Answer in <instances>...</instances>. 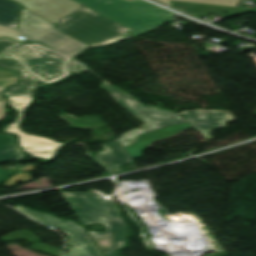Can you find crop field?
Instances as JSON below:
<instances>
[{
	"instance_id": "19",
	"label": "crop field",
	"mask_w": 256,
	"mask_h": 256,
	"mask_svg": "<svg viewBox=\"0 0 256 256\" xmlns=\"http://www.w3.org/2000/svg\"><path fill=\"white\" fill-rule=\"evenodd\" d=\"M159 1L170 6L169 0H159ZM176 1H185V2H195V3L237 7L240 0H176Z\"/></svg>"
},
{
	"instance_id": "20",
	"label": "crop field",
	"mask_w": 256,
	"mask_h": 256,
	"mask_svg": "<svg viewBox=\"0 0 256 256\" xmlns=\"http://www.w3.org/2000/svg\"><path fill=\"white\" fill-rule=\"evenodd\" d=\"M9 106L13 107L16 112H21L27 104L30 97L8 96Z\"/></svg>"
},
{
	"instance_id": "13",
	"label": "crop field",
	"mask_w": 256,
	"mask_h": 256,
	"mask_svg": "<svg viewBox=\"0 0 256 256\" xmlns=\"http://www.w3.org/2000/svg\"><path fill=\"white\" fill-rule=\"evenodd\" d=\"M171 6L175 7L177 9L183 10L189 14H192L196 17L200 15H206V13H215V14H221L224 16H232L237 15L242 12L246 11H255L256 7L253 9H247V8H232V7H223V6H213V5H204V4H195V3H185V2H176V1H170ZM229 12V14H224L223 10Z\"/></svg>"
},
{
	"instance_id": "9",
	"label": "crop field",
	"mask_w": 256,
	"mask_h": 256,
	"mask_svg": "<svg viewBox=\"0 0 256 256\" xmlns=\"http://www.w3.org/2000/svg\"><path fill=\"white\" fill-rule=\"evenodd\" d=\"M24 8L34 12L35 14L53 22L57 23L64 16L70 14L80 6L71 0H16Z\"/></svg>"
},
{
	"instance_id": "17",
	"label": "crop field",
	"mask_w": 256,
	"mask_h": 256,
	"mask_svg": "<svg viewBox=\"0 0 256 256\" xmlns=\"http://www.w3.org/2000/svg\"><path fill=\"white\" fill-rule=\"evenodd\" d=\"M19 10V5L13 1L0 4V24L16 27Z\"/></svg>"
},
{
	"instance_id": "10",
	"label": "crop field",
	"mask_w": 256,
	"mask_h": 256,
	"mask_svg": "<svg viewBox=\"0 0 256 256\" xmlns=\"http://www.w3.org/2000/svg\"><path fill=\"white\" fill-rule=\"evenodd\" d=\"M20 115L21 113H17L15 121L10 126L4 127L3 131L17 134L20 147L31 156H38L44 159L52 157L55 150L60 148L62 144L43 137L27 135L21 132L17 128Z\"/></svg>"
},
{
	"instance_id": "12",
	"label": "crop field",
	"mask_w": 256,
	"mask_h": 256,
	"mask_svg": "<svg viewBox=\"0 0 256 256\" xmlns=\"http://www.w3.org/2000/svg\"><path fill=\"white\" fill-rule=\"evenodd\" d=\"M103 146L105 151L95 154L96 159L113 172L120 171V164H125L132 160L118 140L107 142Z\"/></svg>"
},
{
	"instance_id": "21",
	"label": "crop field",
	"mask_w": 256,
	"mask_h": 256,
	"mask_svg": "<svg viewBox=\"0 0 256 256\" xmlns=\"http://www.w3.org/2000/svg\"><path fill=\"white\" fill-rule=\"evenodd\" d=\"M33 179L30 173H22V174H17L13 177H11L5 184L2 186H11L15 184L16 181H27Z\"/></svg>"
},
{
	"instance_id": "2",
	"label": "crop field",
	"mask_w": 256,
	"mask_h": 256,
	"mask_svg": "<svg viewBox=\"0 0 256 256\" xmlns=\"http://www.w3.org/2000/svg\"><path fill=\"white\" fill-rule=\"evenodd\" d=\"M134 29L130 36L148 32L164 21H172V13L143 0H74Z\"/></svg>"
},
{
	"instance_id": "16",
	"label": "crop field",
	"mask_w": 256,
	"mask_h": 256,
	"mask_svg": "<svg viewBox=\"0 0 256 256\" xmlns=\"http://www.w3.org/2000/svg\"><path fill=\"white\" fill-rule=\"evenodd\" d=\"M19 238H26L30 242H35L32 245V248H35V249H38V250H41L44 252H48V253H51V254H54L57 256H62L61 250L51 247L49 245L43 244V243H37V241H39L40 239L26 230L11 233L9 235L4 236L1 239L2 240H11V239H19Z\"/></svg>"
},
{
	"instance_id": "11",
	"label": "crop field",
	"mask_w": 256,
	"mask_h": 256,
	"mask_svg": "<svg viewBox=\"0 0 256 256\" xmlns=\"http://www.w3.org/2000/svg\"><path fill=\"white\" fill-rule=\"evenodd\" d=\"M181 113L190 127L198 129L205 140L211 139L210 130L216 127L224 128V123L234 120L229 112L224 111L197 110L181 111Z\"/></svg>"
},
{
	"instance_id": "25",
	"label": "crop field",
	"mask_w": 256,
	"mask_h": 256,
	"mask_svg": "<svg viewBox=\"0 0 256 256\" xmlns=\"http://www.w3.org/2000/svg\"><path fill=\"white\" fill-rule=\"evenodd\" d=\"M14 171L3 170L0 168V183L4 181L10 174H14Z\"/></svg>"
},
{
	"instance_id": "5",
	"label": "crop field",
	"mask_w": 256,
	"mask_h": 256,
	"mask_svg": "<svg viewBox=\"0 0 256 256\" xmlns=\"http://www.w3.org/2000/svg\"><path fill=\"white\" fill-rule=\"evenodd\" d=\"M101 88L106 90L115 102L143 123L141 128L127 132L118 139L122 146L135 142L136 136L141 133L149 132L167 125L186 122L184 118L179 117V113L142 105L134 98L116 90L106 83L103 84ZM172 116H174V118H172Z\"/></svg>"
},
{
	"instance_id": "14",
	"label": "crop field",
	"mask_w": 256,
	"mask_h": 256,
	"mask_svg": "<svg viewBox=\"0 0 256 256\" xmlns=\"http://www.w3.org/2000/svg\"><path fill=\"white\" fill-rule=\"evenodd\" d=\"M189 127L187 123L174 125L169 128L158 130L152 134L143 135L138 138L137 143L131 144L129 146L124 147L126 151L130 154L132 158L141 157V153L143 149L153 140L160 139L164 136H168L179 132L185 128Z\"/></svg>"
},
{
	"instance_id": "4",
	"label": "crop field",
	"mask_w": 256,
	"mask_h": 256,
	"mask_svg": "<svg viewBox=\"0 0 256 256\" xmlns=\"http://www.w3.org/2000/svg\"><path fill=\"white\" fill-rule=\"evenodd\" d=\"M1 56L16 59L28 73L43 83L69 74L66 64L70 59L38 43H20Z\"/></svg>"
},
{
	"instance_id": "24",
	"label": "crop field",
	"mask_w": 256,
	"mask_h": 256,
	"mask_svg": "<svg viewBox=\"0 0 256 256\" xmlns=\"http://www.w3.org/2000/svg\"><path fill=\"white\" fill-rule=\"evenodd\" d=\"M14 82H16L15 77L0 79V88H4L5 85H8Z\"/></svg>"
},
{
	"instance_id": "1",
	"label": "crop field",
	"mask_w": 256,
	"mask_h": 256,
	"mask_svg": "<svg viewBox=\"0 0 256 256\" xmlns=\"http://www.w3.org/2000/svg\"><path fill=\"white\" fill-rule=\"evenodd\" d=\"M82 224L106 225V234L88 231L104 256H114V249L123 247L126 226L113 203L93 193L61 192Z\"/></svg>"
},
{
	"instance_id": "23",
	"label": "crop field",
	"mask_w": 256,
	"mask_h": 256,
	"mask_svg": "<svg viewBox=\"0 0 256 256\" xmlns=\"http://www.w3.org/2000/svg\"><path fill=\"white\" fill-rule=\"evenodd\" d=\"M67 69H68V71L74 72V73H79L82 70H85V69H83L81 66H79L77 63H75L72 60H70V62L68 63Z\"/></svg>"
},
{
	"instance_id": "3",
	"label": "crop field",
	"mask_w": 256,
	"mask_h": 256,
	"mask_svg": "<svg viewBox=\"0 0 256 256\" xmlns=\"http://www.w3.org/2000/svg\"><path fill=\"white\" fill-rule=\"evenodd\" d=\"M54 28L90 46L129 36L133 31L84 6L63 18Z\"/></svg>"
},
{
	"instance_id": "26",
	"label": "crop field",
	"mask_w": 256,
	"mask_h": 256,
	"mask_svg": "<svg viewBox=\"0 0 256 256\" xmlns=\"http://www.w3.org/2000/svg\"><path fill=\"white\" fill-rule=\"evenodd\" d=\"M7 1H11V0H0V3H4V2H7Z\"/></svg>"
},
{
	"instance_id": "18",
	"label": "crop field",
	"mask_w": 256,
	"mask_h": 256,
	"mask_svg": "<svg viewBox=\"0 0 256 256\" xmlns=\"http://www.w3.org/2000/svg\"><path fill=\"white\" fill-rule=\"evenodd\" d=\"M60 117L65 119L67 122L72 124L73 126L77 128H92L97 126L105 125L102 121L97 119L94 116H86L82 117L80 119L73 118L65 113L60 114Z\"/></svg>"
},
{
	"instance_id": "22",
	"label": "crop field",
	"mask_w": 256,
	"mask_h": 256,
	"mask_svg": "<svg viewBox=\"0 0 256 256\" xmlns=\"http://www.w3.org/2000/svg\"><path fill=\"white\" fill-rule=\"evenodd\" d=\"M18 35L20 34L16 30H13L5 26H0V36H7L10 38L22 41L20 38L17 37Z\"/></svg>"
},
{
	"instance_id": "15",
	"label": "crop field",
	"mask_w": 256,
	"mask_h": 256,
	"mask_svg": "<svg viewBox=\"0 0 256 256\" xmlns=\"http://www.w3.org/2000/svg\"><path fill=\"white\" fill-rule=\"evenodd\" d=\"M9 134L0 135V162L14 161L23 158V153L13 144Z\"/></svg>"
},
{
	"instance_id": "8",
	"label": "crop field",
	"mask_w": 256,
	"mask_h": 256,
	"mask_svg": "<svg viewBox=\"0 0 256 256\" xmlns=\"http://www.w3.org/2000/svg\"><path fill=\"white\" fill-rule=\"evenodd\" d=\"M18 43L19 42H14L7 38H0V55L17 45ZM0 66L4 68H9L13 71H17L19 77L18 84L8 87L2 92L3 95L30 96V90L36 84L37 78L28 74L24 70V68L16 60L13 59L0 57Z\"/></svg>"
},
{
	"instance_id": "7",
	"label": "crop field",
	"mask_w": 256,
	"mask_h": 256,
	"mask_svg": "<svg viewBox=\"0 0 256 256\" xmlns=\"http://www.w3.org/2000/svg\"><path fill=\"white\" fill-rule=\"evenodd\" d=\"M25 215L55 228L69 235L67 241L72 247H68L66 256H102L95 244L91 241L83 226L75 224L73 221H64L50 214L32 211L20 205L14 206Z\"/></svg>"
},
{
	"instance_id": "6",
	"label": "crop field",
	"mask_w": 256,
	"mask_h": 256,
	"mask_svg": "<svg viewBox=\"0 0 256 256\" xmlns=\"http://www.w3.org/2000/svg\"><path fill=\"white\" fill-rule=\"evenodd\" d=\"M54 24L23 9L19 30L28 38L48 45L55 50L72 56L88 45L56 30Z\"/></svg>"
}]
</instances>
